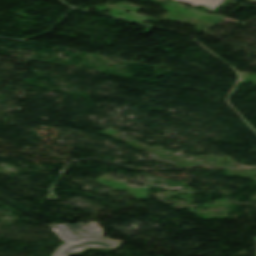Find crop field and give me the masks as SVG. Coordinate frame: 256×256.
Instances as JSON below:
<instances>
[{
	"mask_svg": "<svg viewBox=\"0 0 256 256\" xmlns=\"http://www.w3.org/2000/svg\"><path fill=\"white\" fill-rule=\"evenodd\" d=\"M191 6H200L203 4L205 8L213 11L223 0H176Z\"/></svg>",
	"mask_w": 256,
	"mask_h": 256,
	"instance_id": "34b2d1b8",
	"label": "crop field"
},
{
	"mask_svg": "<svg viewBox=\"0 0 256 256\" xmlns=\"http://www.w3.org/2000/svg\"><path fill=\"white\" fill-rule=\"evenodd\" d=\"M60 238L67 242L60 247L53 256H58L65 246H69L85 239L121 245L120 242H113L101 239L99 234L102 232L96 223L93 224H72V225H50Z\"/></svg>",
	"mask_w": 256,
	"mask_h": 256,
	"instance_id": "8a807250",
	"label": "crop field"
},
{
	"mask_svg": "<svg viewBox=\"0 0 256 256\" xmlns=\"http://www.w3.org/2000/svg\"><path fill=\"white\" fill-rule=\"evenodd\" d=\"M88 246H101V247H111V248H118L120 246L118 245H112V244H106V243H100V242H94L90 240H85L83 242H80L78 244L65 247L64 250L60 253L59 256H68L71 255L72 253L81 250L83 248H86Z\"/></svg>",
	"mask_w": 256,
	"mask_h": 256,
	"instance_id": "ac0d7876",
	"label": "crop field"
}]
</instances>
